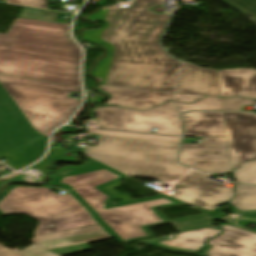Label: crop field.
<instances>
[{
  "label": "crop field",
  "instance_id": "14",
  "mask_svg": "<svg viewBox=\"0 0 256 256\" xmlns=\"http://www.w3.org/2000/svg\"><path fill=\"white\" fill-rule=\"evenodd\" d=\"M98 90L105 92L111 98L105 104H116L120 107L137 108L140 110L150 109L168 100H172V94L117 87L99 86Z\"/></svg>",
  "mask_w": 256,
  "mask_h": 256
},
{
  "label": "crop field",
  "instance_id": "8",
  "mask_svg": "<svg viewBox=\"0 0 256 256\" xmlns=\"http://www.w3.org/2000/svg\"><path fill=\"white\" fill-rule=\"evenodd\" d=\"M96 114L98 128L181 135L182 122L172 102L148 111L124 109L117 106L92 110Z\"/></svg>",
  "mask_w": 256,
  "mask_h": 256
},
{
  "label": "crop field",
  "instance_id": "11",
  "mask_svg": "<svg viewBox=\"0 0 256 256\" xmlns=\"http://www.w3.org/2000/svg\"><path fill=\"white\" fill-rule=\"evenodd\" d=\"M181 164L206 172H232L226 138H202L201 145H182Z\"/></svg>",
  "mask_w": 256,
  "mask_h": 256
},
{
  "label": "crop field",
  "instance_id": "23",
  "mask_svg": "<svg viewBox=\"0 0 256 256\" xmlns=\"http://www.w3.org/2000/svg\"><path fill=\"white\" fill-rule=\"evenodd\" d=\"M234 177L238 183L256 184V160L242 163L240 169L234 170Z\"/></svg>",
  "mask_w": 256,
  "mask_h": 256
},
{
  "label": "crop field",
  "instance_id": "24",
  "mask_svg": "<svg viewBox=\"0 0 256 256\" xmlns=\"http://www.w3.org/2000/svg\"><path fill=\"white\" fill-rule=\"evenodd\" d=\"M97 230H102V228L99 227L98 225H95V226H90V227H84V228H79V229H74V230H68V231H63V232H58V233L42 235V236H36V237H33V239L30 241L37 243V242H42V241H46V240H51V239H56V238H60V237L81 234V233H86V232H91V231H97Z\"/></svg>",
  "mask_w": 256,
  "mask_h": 256
},
{
  "label": "crop field",
  "instance_id": "9",
  "mask_svg": "<svg viewBox=\"0 0 256 256\" xmlns=\"http://www.w3.org/2000/svg\"><path fill=\"white\" fill-rule=\"evenodd\" d=\"M208 176L191 170L173 186L176 191L170 197L220 220L223 209L216 207L232 199L234 188L218 184Z\"/></svg>",
  "mask_w": 256,
  "mask_h": 256
},
{
  "label": "crop field",
  "instance_id": "32",
  "mask_svg": "<svg viewBox=\"0 0 256 256\" xmlns=\"http://www.w3.org/2000/svg\"><path fill=\"white\" fill-rule=\"evenodd\" d=\"M0 165H2V164H0Z\"/></svg>",
  "mask_w": 256,
  "mask_h": 256
},
{
  "label": "crop field",
  "instance_id": "15",
  "mask_svg": "<svg viewBox=\"0 0 256 256\" xmlns=\"http://www.w3.org/2000/svg\"><path fill=\"white\" fill-rule=\"evenodd\" d=\"M109 238L110 236L105 231H102L39 243L21 251L20 253L26 256H59L62 254L90 250L91 248L86 243Z\"/></svg>",
  "mask_w": 256,
  "mask_h": 256
},
{
  "label": "crop field",
  "instance_id": "28",
  "mask_svg": "<svg viewBox=\"0 0 256 256\" xmlns=\"http://www.w3.org/2000/svg\"><path fill=\"white\" fill-rule=\"evenodd\" d=\"M9 2L47 9V0H9Z\"/></svg>",
  "mask_w": 256,
  "mask_h": 256
},
{
  "label": "crop field",
  "instance_id": "2",
  "mask_svg": "<svg viewBox=\"0 0 256 256\" xmlns=\"http://www.w3.org/2000/svg\"><path fill=\"white\" fill-rule=\"evenodd\" d=\"M126 177L90 159L81 166L56 170L51 185L70 192L121 244L154 238L151 226L172 223L179 233L213 226L214 218L206 214L168 220L158 209L183 203L164 194L133 200L115 193L113 188ZM115 199L121 204H113Z\"/></svg>",
  "mask_w": 256,
  "mask_h": 256
},
{
  "label": "crop field",
  "instance_id": "20",
  "mask_svg": "<svg viewBox=\"0 0 256 256\" xmlns=\"http://www.w3.org/2000/svg\"><path fill=\"white\" fill-rule=\"evenodd\" d=\"M65 150L50 149L46 158L40 163L22 171L24 174L41 181L47 174V167L52 160L70 161L74 158L63 156Z\"/></svg>",
  "mask_w": 256,
  "mask_h": 256
},
{
  "label": "crop field",
  "instance_id": "25",
  "mask_svg": "<svg viewBox=\"0 0 256 256\" xmlns=\"http://www.w3.org/2000/svg\"><path fill=\"white\" fill-rule=\"evenodd\" d=\"M225 223L256 233V229L253 230L245 227L248 223H256V214L255 215H234L230 217Z\"/></svg>",
  "mask_w": 256,
  "mask_h": 256
},
{
  "label": "crop field",
  "instance_id": "5",
  "mask_svg": "<svg viewBox=\"0 0 256 256\" xmlns=\"http://www.w3.org/2000/svg\"><path fill=\"white\" fill-rule=\"evenodd\" d=\"M52 187L14 185L0 200V215L25 214L39 221L34 236L79 228L96 223L69 195Z\"/></svg>",
  "mask_w": 256,
  "mask_h": 256
},
{
  "label": "crop field",
  "instance_id": "17",
  "mask_svg": "<svg viewBox=\"0 0 256 256\" xmlns=\"http://www.w3.org/2000/svg\"><path fill=\"white\" fill-rule=\"evenodd\" d=\"M184 136L226 137L222 112H192L183 116Z\"/></svg>",
  "mask_w": 256,
  "mask_h": 256
},
{
  "label": "crop field",
  "instance_id": "19",
  "mask_svg": "<svg viewBox=\"0 0 256 256\" xmlns=\"http://www.w3.org/2000/svg\"><path fill=\"white\" fill-rule=\"evenodd\" d=\"M237 194L229 202L234 205L236 211H245L246 213L256 212V187L237 185Z\"/></svg>",
  "mask_w": 256,
  "mask_h": 256
},
{
  "label": "crop field",
  "instance_id": "31",
  "mask_svg": "<svg viewBox=\"0 0 256 256\" xmlns=\"http://www.w3.org/2000/svg\"><path fill=\"white\" fill-rule=\"evenodd\" d=\"M11 177L21 178V179L26 180V181L35 182L33 179H31V178H29V177H27V176H25V175H23L21 173H17V174H14L12 176H9V177L2 178V180H5V179L11 178Z\"/></svg>",
  "mask_w": 256,
  "mask_h": 256
},
{
  "label": "crop field",
  "instance_id": "16",
  "mask_svg": "<svg viewBox=\"0 0 256 256\" xmlns=\"http://www.w3.org/2000/svg\"><path fill=\"white\" fill-rule=\"evenodd\" d=\"M222 97L239 96L256 99V70L219 71Z\"/></svg>",
  "mask_w": 256,
  "mask_h": 256
},
{
  "label": "crop field",
  "instance_id": "30",
  "mask_svg": "<svg viewBox=\"0 0 256 256\" xmlns=\"http://www.w3.org/2000/svg\"><path fill=\"white\" fill-rule=\"evenodd\" d=\"M0 256H22V255L0 245Z\"/></svg>",
  "mask_w": 256,
  "mask_h": 256
},
{
  "label": "crop field",
  "instance_id": "29",
  "mask_svg": "<svg viewBox=\"0 0 256 256\" xmlns=\"http://www.w3.org/2000/svg\"><path fill=\"white\" fill-rule=\"evenodd\" d=\"M205 96H197V95H185V94H177L175 93V98L177 101L192 103L195 102Z\"/></svg>",
  "mask_w": 256,
  "mask_h": 256
},
{
  "label": "crop field",
  "instance_id": "7",
  "mask_svg": "<svg viewBox=\"0 0 256 256\" xmlns=\"http://www.w3.org/2000/svg\"><path fill=\"white\" fill-rule=\"evenodd\" d=\"M47 139L34 130L0 84V159L18 170L44 154Z\"/></svg>",
  "mask_w": 256,
  "mask_h": 256
},
{
  "label": "crop field",
  "instance_id": "1",
  "mask_svg": "<svg viewBox=\"0 0 256 256\" xmlns=\"http://www.w3.org/2000/svg\"><path fill=\"white\" fill-rule=\"evenodd\" d=\"M162 0H134L129 8H109L88 16L104 23L86 30L83 38L106 46L110 55L92 75L102 85L173 92L180 62L169 57L159 40L171 15L151 12Z\"/></svg>",
  "mask_w": 256,
  "mask_h": 256
},
{
  "label": "crop field",
  "instance_id": "10",
  "mask_svg": "<svg viewBox=\"0 0 256 256\" xmlns=\"http://www.w3.org/2000/svg\"><path fill=\"white\" fill-rule=\"evenodd\" d=\"M229 156L233 169L242 161L256 159V115L223 112Z\"/></svg>",
  "mask_w": 256,
  "mask_h": 256
},
{
  "label": "crop field",
  "instance_id": "21",
  "mask_svg": "<svg viewBox=\"0 0 256 256\" xmlns=\"http://www.w3.org/2000/svg\"><path fill=\"white\" fill-rule=\"evenodd\" d=\"M181 113L191 110H222L221 99L207 97L195 104L176 102Z\"/></svg>",
  "mask_w": 256,
  "mask_h": 256
},
{
  "label": "crop field",
  "instance_id": "26",
  "mask_svg": "<svg viewBox=\"0 0 256 256\" xmlns=\"http://www.w3.org/2000/svg\"><path fill=\"white\" fill-rule=\"evenodd\" d=\"M241 11L254 17L256 21V0H225Z\"/></svg>",
  "mask_w": 256,
  "mask_h": 256
},
{
  "label": "crop field",
  "instance_id": "27",
  "mask_svg": "<svg viewBox=\"0 0 256 256\" xmlns=\"http://www.w3.org/2000/svg\"><path fill=\"white\" fill-rule=\"evenodd\" d=\"M253 100L240 99V98H230L222 99L223 110H242L243 105H252Z\"/></svg>",
  "mask_w": 256,
  "mask_h": 256
},
{
  "label": "crop field",
  "instance_id": "13",
  "mask_svg": "<svg viewBox=\"0 0 256 256\" xmlns=\"http://www.w3.org/2000/svg\"><path fill=\"white\" fill-rule=\"evenodd\" d=\"M175 92L221 97L218 71L183 62Z\"/></svg>",
  "mask_w": 256,
  "mask_h": 256
},
{
  "label": "crop field",
  "instance_id": "18",
  "mask_svg": "<svg viewBox=\"0 0 256 256\" xmlns=\"http://www.w3.org/2000/svg\"><path fill=\"white\" fill-rule=\"evenodd\" d=\"M220 233L219 227H211L197 231L176 234L177 239L154 243L155 246L167 250L191 253L199 250L214 235Z\"/></svg>",
  "mask_w": 256,
  "mask_h": 256
},
{
  "label": "crop field",
  "instance_id": "4",
  "mask_svg": "<svg viewBox=\"0 0 256 256\" xmlns=\"http://www.w3.org/2000/svg\"><path fill=\"white\" fill-rule=\"evenodd\" d=\"M179 144L101 136L83 153L128 176L176 180L189 168L176 163Z\"/></svg>",
  "mask_w": 256,
  "mask_h": 256
},
{
  "label": "crop field",
  "instance_id": "6",
  "mask_svg": "<svg viewBox=\"0 0 256 256\" xmlns=\"http://www.w3.org/2000/svg\"><path fill=\"white\" fill-rule=\"evenodd\" d=\"M0 83L35 130L45 136L65 123L79 108L80 100L67 98L81 89L0 74Z\"/></svg>",
  "mask_w": 256,
  "mask_h": 256
},
{
  "label": "crop field",
  "instance_id": "22",
  "mask_svg": "<svg viewBox=\"0 0 256 256\" xmlns=\"http://www.w3.org/2000/svg\"><path fill=\"white\" fill-rule=\"evenodd\" d=\"M89 134L121 136V137H130V138H139V139H148V140L175 142V143H179L180 141V138H176V137L121 133V132H112V131H103V130H90Z\"/></svg>",
  "mask_w": 256,
  "mask_h": 256
},
{
  "label": "crop field",
  "instance_id": "12",
  "mask_svg": "<svg viewBox=\"0 0 256 256\" xmlns=\"http://www.w3.org/2000/svg\"><path fill=\"white\" fill-rule=\"evenodd\" d=\"M224 233L208 242L203 256H256V234L222 225Z\"/></svg>",
  "mask_w": 256,
  "mask_h": 256
},
{
  "label": "crop field",
  "instance_id": "3",
  "mask_svg": "<svg viewBox=\"0 0 256 256\" xmlns=\"http://www.w3.org/2000/svg\"><path fill=\"white\" fill-rule=\"evenodd\" d=\"M69 26L15 19L0 34V72L81 88V51L68 37Z\"/></svg>",
  "mask_w": 256,
  "mask_h": 256
}]
</instances>
